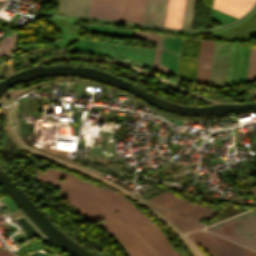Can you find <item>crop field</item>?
Returning a JSON list of instances; mask_svg holds the SVG:
<instances>
[{
	"instance_id": "crop-field-1",
	"label": "crop field",
	"mask_w": 256,
	"mask_h": 256,
	"mask_svg": "<svg viewBox=\"0 0 256 256\" xmlns=\"http://www.w3.org/2000/svg\"><path fill=\"white\" fill-rule=\"evenodd\" d=\"M146 0H91L88 16L142 23Z\"/></svg>"
},
{
	"instance_id": "crop-field-2",
	"label": "crop field",
	"mask_w": 256,
	"mask_h": 256,
	"mask_svg": "<svg viewBox=\"0 0 256 256\" xmlns=\"http://www.w3.org/2000/svg\"><path fill=\"white\" fill-rule=\"evenodd\" d=\"M214 42L202 40L196 83L208 86Z\"/></svg>"
},
{
	"instance_id": "crop-field-3",
	"label": "crop field",
	"mask_w": 256,
	"mask_h": 256,
	"mask_svg": "<svg viewBox=\"0 0 256 256\" xmlns=\"http://www.w3.org/2000/svg\"><path fill=\"white\" fill-rule=\"evenodd\" d=\"M255 0H215L213 8L235 18L242 16Z\"/></svg>"
},
{
	"instance_id": "crop-field-4",
	"label": "crop field",
	"mask_w": 256,
	"mask_h": 256,
	"mask_svg": "<svg viewBox=\"0 0 256 256\" xmlns=\"http://www.w3.org/2000/svg\"><path fill=\"white\" fill-rule=\"evenodd\" d=\"M167 2L168 0H147L143 23L163 26Z\"/></svg>"
},
{
	"instance_id": "crop-field-5",
	"label": "crop field",
	"mask_w": 256,
	"mask_h": 256,
	"mask_svg": "<svg viewBox=\"0 0 256 256\" xmlns=\"http://www.w3.org/2000/svg\"><path fill=\"white\" fill-rule=\"evenodd\" d=\"M90 0H58L59 12L87 16Z\"/></svg>"
},
{
	"instance_id": "crop-field-6",
	"label": "crop field",
	"mask_w": 256,
	"mask_h": 256,
	"mask_svg": "<svg viewBox=\"0 0 256 256\" xmlns=\"http://www.w3.org/2000/svg\"><path fill=\"white\" fill-rule=\"evenodd\" d=\"M184 0H169L164 26L179 28Z\"/></svg>"
},
{
	"instance_id": "crop-field-7",
	"label": "crop field",
	"mask_w": 256,
	"mask_h": 256,
	"mask_svg": "<svg viewBox=\"0 0 256 256\" xmlns=\"http://www.w3.org/2000/svg\"><path fill=\"white\" fill-rule=\"evenodd\" d=\"M133 37L151 41L157 45L154 54L153 68L158 70L162 35L134 31Z\"/></svg>"
},
{
	"instance_id": "crop-field-8",
	"label": "crop field",
	"mask_w": 256,
	"mask_h": 256,
	"mask_svg": "<svg viewBox=\"0 0 256 256\" xmlns=\"http://www.w3.org/2000/svg\"><path fill=\"white\" fill-rule=\"evenodd\" d=\"M194 6H195V0H185L180 28L190 29Z\"/></svg>"
},
{
	"instance_id": "crop-field-9",
	"label": "crop field",
	"mask_w": 256,
	"mask_h": 256,
	"mask_svg": "<svg viewBox=\"0 0 256 256\" xmlns=\"http://www.w3.org/2000/svg\"><path fill=\"white\" fill-rule=\"evenodd\" d=\"M256 79V48L251 47L247 82Z\"/></svg>"
},
{
	"instance_id": "crop-field-10",
	"label": "crop field",
	"mask_w": 256,
	"mask_h": 256,
	"mask_svg": "<svg viewBox=\"0 0 256 256\" xmlns=\"http://www.w3.org/2000/svg\"><path fill=\"white\" fill-rule=\"evenodd\" d=\"M12 39V37H5V39L0 42V56H4L7 54L12 43Z\"/></svg>"
},
{
	"instance_id": "crop-field-11",
	"label": "crop field",
	"mask_w": 256,
	"mask_h": 256,
	"mask_svg": "<svg viewBox=\"0 0 256 256\" xmlns=\"http://www.w3.org/2000/svg\"><path fill=\"white\" fill-rule=\"evenodd\" d=\"M0 254H12V253L8 250H0Z\"/></svg>"
}]
</instances>
